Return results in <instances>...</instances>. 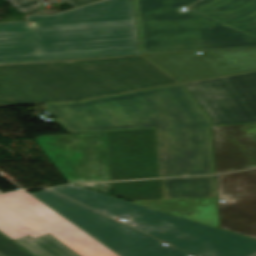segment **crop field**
<instances>
[{
	"label": "crop field",
	"mask_w": 256,
	"mask_h": 256,
	"mask_svg": "<svg viewBox=\"0 0 256 256\" xmlns=\"http://www.w3.org/2000/svg\"><path fill=\"white\" fill-rule=\"evenodd\" d=\"M53 190L195 256H256L252 238L74 185ZM31 194L119 256L188 255L49 189Z\"/></svg>",
	"instance_id": "obj_1"
},
{
	"label": "crop field",
	"mask_w": 256,
	"mask_h": 256,
	"mask_svg": "<svg viewBox=\"0 0 256 256\" xmlns=\"http://www.w3.org/2000/svg\"><path fill=\"white\" fill-rule=\"evenodd\" d=\"M45 106L70 133L156 128L161 177L213 174L211 122L182 85Z\"/></svg>",
	"instance_id": "obj_2"
},
{
	"label": "crop field",
	"mask_w": 256,
	"mask_h": 256,
	"mask_svg": "<svg viewBox=\"0 0 256 256\" xmlns=\"http://www.w3.org/2000/svg\"><path fill=\"white\" fill-rule=\"evenodd\" d=\"M177 83L142 56L0 66V105L76 101Z\"/></svg>",
	"instance_id": "obj_3"
},
{
	"label": "crop field",
	"mask_w": 256,
	"mask_h": 256,
	"mask_svg": "<svg viewBox=\"0 0 256 256\" xmlns=\"http://www.w3.org/2000/svg\"><path fill=\"white\" fill-rule=\"evenodd\" d=\"M134 0L143 54L256 47V0Z\"/></svg>",
	"instance_id": "obj_4"
},
{
	"label": "crop field",
	"mask_w": 256,
	"mask_h": 256,
	"mask_svg": "<svg viewBox=\"0 0 256 256\" xmlns=\"http://www.w3.org/2000/svg\"><path fill=\"white\" fill-rule=\"evenodd\" d=\"M45 61L140 54L131 0H105L30 16Z\"/></svg>",
	"instance_id": "obj_5"
},
{
	"label": "crop field",
	"mask_w": 256,
	"mask_h": 256,
	"mask_svg": "<svg viewBox=\"0 0 256 256\" xmlns=\"http://www.w3.org/2000/svg\"><path fill=\"white\" fill-rule=\"evenodd\" d=\"M0 231L13 240L49 233L80 256H118L25 191L0 195Z\"/></svg>",
	"instance_id": "obj_6"
},
{
	"label": "crop field",
	"mask_w": 256,
	"mask_h": 256,
	"mask_svg": "<svg viewBox=\"0 0 256 256\" xmlns=\"http://www.w3.org/2000/svg\"><path fill=\"white\" fill-rule=\"evenodd\" d=\"M70 183L109 181L106 132L35 139Z\"/></svg>",
	"instance_id": "obj_7"
},
{
	"label": "crop field",
	"mask_w": 256,
	"mask_h": 256,
	"mask_svg": "<svg viewBox=\"0 0 256 256\" xmlns=\"http://www.w3.org/2000/svg\"><path fill=\"white\" fill-rule=\"evenodd\" d=\"M184 85L214 124L256 122V73Z\"/></svg>",
	"instance_id": "obj_8"
},
{
	"label": "crop field",
	"mask_w": 256,
	"mask_h": 256,
	"mask_svg": "<svg viewBox=\"0 0 256 256\" xmlns=\"http://www.w3.org/2000/svg\"><path fill=\"white\" fill-rule=\"evenodd\" d=\"M146 56L179 82L222 77L256 70V48Z\"/></svg>",
	"instance_id": "obj_9"
},
{
	"label": "crop field",
	"mask_w": 256,
	"mask_h": 256,
	"mask_svg": "<svg viewBox=\"0 0 256 256\" xmlns=\"http://www.w3.org/2000/svg\"><path fill=\"white\" fill-rule=\"evenodd\" d=\"M110 181L160 178L155 129L107 132Z\"/></svg>",
	"instance_id": "obj_10"
},
{
	"label": "crop field",
	"mask_w": 256,
	"mask_h": 256,
	"mask_svg": "<svg viewBox=\"0 0 256 256\" xmlns=\"http://www.w3.org/2000/svg\"><path fill=\"white\" fill-rule=\"evenodd\" d=\"M220 228L256 239V170L216 176Z\"/></svg>",
	"instance_id": "obj_11"
},
{
	"label": "crop field",
	"mask_w": 256,
	"mask_h": 256,
	"mask_svg": "<svg viewBox=\"0 0 256 256\" xmlns=\"http://www.w3.org/2000/svg\"><path fill=\"white\" fill-rule=\"evenodd\" d=\"M215 174L256 168V124L211 126Z\"/></svg>",
	"instance_id": "obj_12"
},
{
	"label": "crop field",
	"mask_w": 256,
	"mask_h": 256,
	"mask_svg": "<svg viewBox=\"0 0 256 256\" xmlns=\"http://www.w3.org/2000/svg\"><path fill=\"white\" fill-rule=\"evenodd\" d=\"M44 61L27 21L0 24V63Z\"/></svg>",
	"instance_id": "obj_13"
},
{
	"label": "crop field",
	"mask_w": 256,
	"mask_h": 256,
	"mask_svg": "<svg viewBox=\"0 0 256 256\" xmlns=\"http://www.w3.org/2000/svg\"><path fill=\"white\" fill-rule=\"evenodd\" d=\"M134 202L218 228L215 199L148 200Z\"/></svg>",
	"instance_id": "obj_14"
},
{
	"label": "crop field",
	"mask_w": 256,
	"mask_h": 256,
	"mask_svg": "<svg viewBox=\"0 0 256 256\" xmlns=\"http://www.w3.org/2000/svg\"><path fill=\"white\" fill-rule=\"evenodd\" d=\"M165 199L215 198L213 176L163 179Z\"/></svg>",
	"instance_id": "obj_15"
},
{
	"label": "crop field",
	"mask_w": 256,
	"mask_h": 256,
	"mask_svg": "<svg viewBox=\"0 0 256 256\" xmlns=\"http://www.w3.org/2000/svg\"><path fill=\"white\" fill-rule=\"evenodd\" d=\"M112 195L126 200L162 199L160 179L111 183Z\"/></svg>",
	"instance_id": "obj_16"
},
{
	"label": "crop field",
	"mask_w": 256,
	"mask_h": 256,
	"mask_svg": "<svg viewBox=\"0 0 256 256\" xmlns=\"http://www.w3.org/2000/svg\"><path fill=\"white\" fill-rule=\"evenodd\" d=\"M35 256H79L49 234L15 240Z\"/></svg>",
	"instance_id": "obj_17"
},
{
	"label": "crop field",
	"mask_w": 256,
	"mask_h": 256,
	"mask_svg": "<svg viewBox=\"0 0 256 256\" xmlns=\"http://www.w3.org/2000/svg\"><path fill=\"white\" fill-rule=\"evenodd\" d=\"M0 253L4 256H32L16 243L0 233Z\"/></svg>",
	"instance_id": "obj_18"
},
{
	"label": "crop field",
	"mask_w": 256,
	"mask_h": 256,
	"mask_svg": "<svg viewBox=\"0 0 256 256\" xmlns=\"http://www.w3.org/2000/svg\"><path fill=\"white\" fill-rule=\"evenodd\" d=\"M21 13L35 11L42 7L41 0H6Z\"/></svg>",
	"instance_id": "obj_19"
},
{
	"label": "crop field",
	"mask_w": 256,
	"mask_h": 256,
	"mask_svg": "<svg viewBox=\"0 0 256 256\" xmlns=\"http://www.w3.org/2000/svg\"><path fill=\"white\" fill-rule=\"evenodd\" d=\"M85 188H89L95 191H99L105 194L110 195V183H101V184H75Z\"/></svg>",
	"instance_id": "obj_20"
},
{
	"label": "crop field",
	"mask_w": 256,
	"mask_h": 256,
	"mask_svg": "<svg viewBox=\"0 0 256 256\" xmlns=\"http://www.w3.org/2000/svg\"><path fill=\"white\" fill-rule=\"evenodd\" d=\"M63 1H65L70 6L74 7V6L90 3L97 0H63Z\"/></svg>",
	"instance_id": "obj_21"
},
{
	"label": "crop field",
	"mask_w": 256,
	"mask_h": 256,
	"mask_svg": "<svg viewBox=\"0 0 256 256\" xmlns=\"http://www.w3.org/2000/svg\"><path fill=\"white\" fill-rule=\"evenodd\" d=\"M0 256H2V255L0 254Z\"/></svg>",
	"instance_id": "obj_22"
}]
</instances>
